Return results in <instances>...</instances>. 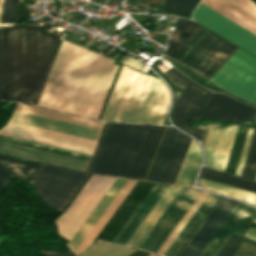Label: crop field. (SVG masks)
<instances>
[{
  "label": "crop field",
  "mask_w": 256,
  "mask_h": 256,
  "mask_svg": "<svg viewBox=\"0 0 256 256\" xmlns=\"http://www.w3.org/2000/svg\"><path fill=\"white\" fill-rule=\"evenodd\" d=\"M169 103L162 80L123 65L101 120L162 125Z\"/></svg>",
  "instance_id": "4"
},
{
  "label": "crop field",
  "mask_w": 256,
  "mask_h": 256,
  "mask_svg": "<svg viewBox=\"0 0 256 256\" xmlns=\"http://www.w3.org/2000/svg\"><path fill=\"white\" fill-rule=\"evenodd\" d=\"M237 204V201L221 197L179 256H199Z\"/></svg>",
  "instance_id": "12"
},
{
  "label": "crop field",
  "mask_w": 256,
  "mask_h": 256,
  "mask_svg": "<svg viewBox=\"0 0 256 256\" xmlns=\"http://www.w3.org/2000/svg\"><path fill=\"white\" fill-rule=\"evenodd\" d=\"M24 24L0 29L1 100L33 104L60 36Z\"/></svg>",
  "instance_id": "2"
},
{
  "label": "crop field",
  "mask_w": 256,
  "mask_h": 256,
  "mask_svg": "<svg viewBox=\"0 0 256 256\" xmlns=\"http://www.w3.org/2000/svg\"><path fill=\"white\" fill-rule=\"evenodd\" d=\"M237 127L233 125L223 129L208 128L204 144L206 151L205 165L225 170Z\"/></svg>",
  "instance_id": "14"
},
{
  "label": "crop field",
  "mask_w": 256,
  "mask_h": 256,
  "mask_svg": "<svg viewBox=\"0 0 256 256\" xmlns=\"http://www.w3.org/2000/svg\"><path fill=\"white\" fill-rule=\"evenodd\" d=\"M28 18H29V11L27 7L20 4L14 14L13 23L24 20V19H28Z\"/></svg>",
  "instance_id": "42"
},
{
  "label": "crop field",
  "mask_w": 256,
  "mask_h": 256,
  "mask_svg": "<svg viewBox=\"0 0 256 256\" xmlns=\"http://www.w3.org/2000/svg\"><path fill=\"white\" fill-rule=\"evenodd\" d=\"M200 193V190L184 187L153 227L140 249L156 253Z\"/></svg>",
  "instance_id": "11"
},
{
  "label": "crop field",
  "mask_w": 256,
  "mask_h": 256,
  "mask_svg": "<svg viewBox=\"0 0 256 256\" xmlns=\"http://www.w3.org/2000/svg\"><path fill=\"white\" fill-rule=\"evenodd\" d=\"M241 241L242 238L232 234L216 256H233Z\"/></svg>",
  "instance_id": "38"
},
{
  "label": "crop field",
  "mask_w": 256,
  "mask_h": 256,
  "mask_svg": "<svg viewBox=\"0 0 256 256\" xmlns=\"http://www.w3.org/2000/svg\"><path fill=\"white\" fill-rule=\"evenodd\" d=\"M203 4L256 34V5L248 0H202Z\"/></svg>",
  "instance_id": "16"
},
{
  "label": "crop field",
  "mask_w": 256,
  "mask_h": 256,
  "mask_svg": "<svg viewBox=\"0 0 256 256\" xmlns=\"http://www.w3.org/2000/svg\"><path fill=\"white\" fill-rule=\"evenodd\" d=\"M62 41L37 105L97 119L118 66Z\"/></svg>",
  "instance_id": "1"
},
{
  "label": "crop field",
  "mask_w": 256,
  "mask_h": 256,
  "mask_svg": "<svg viewBox=\"0 0 256 256\" xmlns=\"http://www.w3.org/2000/svg\"><path fill=\"white\" fill-rule=\"evenodd\" d=\"M149 253L146 252H142V251H135L133 254H131L130 256H147Z\"/></svg>",
  "instance_id": "44"
},
{
  "label": "crop field",
  "mask_w": 256,
  "mask_h": 256,
  "mask_svg": "<svg viewBox=\"0 0 256 256\" xmlns=\"http://www.w3.org/2000/svg\"><path fill=\"white\" fill-rule=\"evenodd\" d=\"M208 195V192L202 191L198 199L187 211V213L184 215V217L181 219V221L178 223V225L175 227V229L157 251V254L163 255V253L166 251V249L169 247V245L172 243V241L175 239V237L178 235V233L181 231V229L184 227V225L187 223V221L190 219V217L194 214V212L198 209V207L202 204V202L206 199Z\"/></svg>",
  "instance_id": "33"
},
{
  "label": "crop field",
  "mask_w": 256,
  "mask_h": 256,
  "mask_svg": "<svg viewBox=\"0 0 256 256\" xmlns=\"http://www.w3.org/2000/svg\"><path fill=\"white\" fill-rule=\"evenodd\" d=\"M202 28L193 21L180 18L166 55L175 59Z\"/></svg>",
  "instance_id": "24"
},
{
  "label": "crop field",
  "mask_w": 256,
  "mask_h": 256,
  "mask_svg": "<svg viewBox=\"0 0 256 256\" xmlns=\"http://www.w3.org/2000/svg\"><path fill=\"white\" fill-rule=\"evenodd\" d=\"M162 75L183 90L174 101L171 112L172 120L180 129L200 140H202L204 133L195 128L188 127L187 121L218 119L250 124L256 113L255 107L239 102L227 95L213 92H210L203 106L202 103L206 97L186 85L206 95L209 91L197 85L173 67Z\"/></svg>",
  "instance_id": "5"
},
{
  "label": "crop field",
  "mask_w": 256,
  "mask_h": 256,
  "mask_svg": "<svg viewBox=\"0 0 256 256\" xmlns=\"http://www.w3.org/2000/svg\"><path fill=\"white\" fill-rule=\"evenodd\" d=\"M255 180H256V176H255V178H254Z\"/></svg>",
  "instance_id": "47"
},
{
  "label": "crop field",
  "mask_w": 256,
  "mask_h": 256,
  "mask_svg": "<svg viewBox=\"0 0 256 256\" xmlns=\"http://www.w3.org/2000/svg\"><path fill=\"white\" fill-rule=\"evenodd\" d=\"M1 135L91 154L97 141L9 121Z\"/></svg>",
  "instance_id": "10"
},
{
  "label": "crop field",
  "mask_w": 256,
  "mask_h": 256,
  "mask_svg": "<svg viewBox=\"0 0 256 256\" xmlns=\"http://www.w3.org/2000/svg\"><path fill=\"white\" fill-rule=\"evenodd\" d=\"M253 130L254 129H251V128L248 129V133H247L245 143H244V146H243V149H242V153H241V156H240V159H239V163H238V166H237V169H236V173H235L236 175H239V176L241 175V171H242L243 164H244V161H245V158H246V154H247L248 147H249V144H250V140H251V137H252V134H253Z\"/></svg>",
  "instance_id": "41"
},
{
  "label": "crop field",
  "mask_w": 256,
  "mask_h": 256,
  "mask_svg": "<svg viewBox=\"0 0 256 256\" xmlns=\"http://www.w3.org/2000/svg\"><path fill=\"white\" fill-rule=\"evenodd\" d=\"M0 140L15 143V144H20V145H24V146H29V147H33V148H38V149H42V150H47V151H51V152H56V153H60V154H65V155H69V156H74V157H78V158H83V159H87V160H89L91 157L89 155H84V154H80V153L70 152V151H66V150L56 149V148H52V147L42 146V145H38V144L28 143V142L14 140V139L5 138V137H0Z\"/></svg>",
  "instance_id": "36"
},
{
  "label": "crop field",
  "mask_w": 256,
  "mask_h": 256,
  "mask_svg": "<svg viewBox=\"0 0 256 256\" xmlns=\"http://www.w3.org/2000/svg\"><path fill=\"white\" fill-rule=\"evenodd\" d=\"M0 152L85 171L89 161L0 141Z\"/></svg>",
  "instance_id": "17"
},
{
  "label": "crop field",
  "mask_w": 256,
  "mask_h": 256,
  "mask_svg": "<svg viewBox=\"0 0 256 256\" xmlns=\"http://www.w3.org/2000/svg\"><path fill=\"white\" fill-rule=\"evenodd\" d=\"M194 20L256 55V36L205 5L198 6Z\"/></svg>",
  "instance_id": "13"
},
{
  "label": "crop field",
  "mask_w": 256,
  "mask_h": 256,
  "mask_svg": "<svg viewBox=\"0 0 256 256\" xmlns=\"http://www.w3.org/2000/svg\"><path fill=\"white\" fill-rule=\"evenodd\" d=\"M222 39L223 38L208 30L195 44V46L185 55L181 62L195 70Z\"/></svg>",
  "instance_id": "27"
},
{
  "label": "crop field",
  "mask_w": 256,
  "mask_h": 256,
  "mask_svg": "<svg viewBox=\"0 0 256 256\" xmlns=\"http://www.w3.org/2000/svg\"><path fill=\"white\" fill-rule=\"evenodd\" d=\"M115 179L93 174L64 214L56 220L59 234L70 240Z\"/></svg>",
  "instance_id": "8"
},
{
  "label": "crop field",
  "mask_w": 256,
  "mask_h": 256,
  "mask_svg": "<svg viewBox=\"0 0 256 256\" xmlns=\"http://www.w3.org/2000/svg\"><path fill=\"white\" fill-rule=\"evenodd\" d=\"M218 197L219 195L210 193L205 202L195 212V214L192 216V218L189 220V222L186 224V226L183 228V230L180 232V234L177 236V238L165 252L164 256H175L177 254V252L186 242L188 237L191 235V233L194 231V229L197 227V225L200 223V221L203 219V217L206 215V213L218 199Z\"/></svg>",
  "instance_id": "25"
},
{
  "label": "crop field",
  "mask_w": 256,
  "mask_h": 256,
  "mask_svg": "<svg viewBox=\"0 0 256 256\" xmlns=\"http://www.w3.org/2000/svg\"><path fill=\"white\" fill-rule=\"evenodd\" d=\"M256 172V131L251 145L250 153L244 170V177L254 178Z\"/></svg>",
  "instance_id": "37"
},
{
  "label": "crop field",
  "mask_w": 256,
  "mask_h": 256,
  "mask_svg": "<svg viewBox=\"0 0 256 256\" xmlns=\"http://www.w3.org/2000/svg\"><path fill=\"white\" fill-rule=\"evenodd\" d=\"M198 0H165L161 9L172 14L188 16Z\"/></svg>",
  "instance_id": "35"
},
{
  "label": "crop field",
  "mask_w": 256,
  "mask_h": 256,
  "mask_svg": "<svg viewBox=\"0 0 256 256\" xmlns=\"http://www.w3.org/2000/svg\"><path fill=\"white\" fill-rule=\"evenodd\" d=\"M89 175L41 163L28 183L43 201L63 211Z\"/></svg>",
  "instance_id": "6"
},
{
  "label": "crop field",
  "mask_w": 256,
  "mask_h": 256,
  "mask_svg": "<svg viewBox=\"0 0 256 256\" xmlns=\"http://www.w3.org/2000/svg\"><path fill=\"white\" fill-rule=\"evenodd\" d=\"M126 181H127V179L117 178V180L114 182V184L108 190V192L105 194V196L102 198V200L98 203V205L95 207V209L92 211V213L88 216V218L85 220V222L82 224V226L78 229V231L75 233V235L69 241V243L67 245L70 247V249L73 252L77 248V246L80 244V242L83 240V238L86 236V234L89 232V230L92 228V226L95 224V222L98 220L100 215L103 213V211L106 209V207L109 205V203L112 201V199L115 197V195L118 193V191L121 189V187L124 185V183Z\"/></svg>",
  "instance_id": "22"
},
{
  "label": "crop field",
  "mask_w": 256,
  "mask_h": 256,
  "mask_svg": "<svg viewBox=\"0 0 256 256\" xmlns=\"http://www.w3.org/2000/svg\"><path fill=\"white\" fill-rule=\"evenodd\" d=\"M255 216L256 208L239 202L200 256H214L231 232L241 235Z\"/></svg>",
  "instance_id": "15"
},
{
  "label": "crop field",
  "mask_w": 256,
  "mask_h": 256,
  "mask_svg": "<svg viewBox=\"0 0 256 256\" xmlns=\"http://www.w3.org/2000/svg\"><path fill=\"white\" fill-rule=\"evenodd\" d=\"M2 0H0V8H1Z\"/></svg>",
  "instance_id": "45"
},
{
  "label": "crop field",
  "mask_w": 256,
  "mask_h": 256,
  "mask_svg": "<svg viewBox=\"0 0 256 256\" xmlns=\"http://www.w3.org/2000/svg\"><path fill=\"white\" fill-rule=\"evenodd\" d=\"M254 102H256V99L254 100Z\"/></svg>",
  "instance_id": "48"
},
{
  "label": "crop field",
  "mask_w": 256,
  "mask_h": 256,
  "mask_svg": "<svg viewBox=\"0 0 256 256\" xmlns=\"http://www.w3.org/2000/svg\"><path fill=\"white\" fill-rule=\"evenodd\" d=\"M234 256H256V243L243 239Z\"/></svg>",
  "instance_id": "39"
},
{
  "label": "crop field",
  "mask_w": 256,
  "mask_h": 256,
  "mask_svg": "<svg viewBox=\"0 0 256 256\" xmlns=\"http://www.w3.org/2000/svg\"><path fill=\"white\" fill-rule=\"evenodd\" d=\"M255 222H256V220H255Z\"/></svg>",
  "instance_id": "50"
},
{
  "label": "crop field",
  "mask_w": 256,
  "mask_h": 256,
  "mask_svg": "<svg viewBox=\"0 0 256 256\" xmlns=\"http://www.w3.org/2000/svg\"><path fill=\"white\" fill-rule=\"evenodd\" d=\"M11 121L20 122L24 124H29L37 127H42L46 129H51L55 131H60L64 133H69L77 136H82L91 139H98L100 134L99 129L85 127L81 125H76L72 123H67L63 121L53 120L49 118H44L40 116H35L31 114L21 113L15 111L12 117L10 118Z\"/></svg>",
  "instance_id": "18"
},
{
  "label": "crop field",
  "mask_w": 256,
  "mask_h": 256,
  "mask_svg": "<svg viewBox=\"0 0 256 256\" xmlns=\"http://www.w3.org/2000/svg\"><path fill=\"white\" fill-rule=\"evenodd\" d=\"M48 256H74L68 253H63V252H57V251H49Z\"/></svg>",
  "instance_id": "43"
},
{
  "label": "crop field",
  "mask_w": 256,
  "mask_h": 256,
  "mask_svg": "<svg viewBox=\"0 0 256 256\" xmlns=\"http://www.w3.org/2000/svg\"><path fill=\"white\" fill-rule=\"evenodd\" d=\"M161 130L108 123L88 171L141 179Z\"/></svg>",
  "instance_id": "3"
},
{
  "label": "crop field",
  "mask_w": 256,
  "mask_h": 256,
  "mask_svg": "<svg viewBox=\"0 0 256 256\" xmlns=\"http://www.w3.org/2000/svg\"><path fill=\"white\" fill-rule=\"evenodd\" d=\"M36 165L35 161H21L0 155V194L10 175L26 180Z\"/></svg>",
  "instance_id": "26"
},
{
  "label": "crop field",
  "mask_w": 256,
  "mask_h": 256,
  "mask_svg": "<svg viewBox=\"0 0 256 256\" xmlns=\"http://www.w3.org/2000/svg\"><path fill=\"white\" fill-rule=\"evenodd\" d=\"M199 181L202 186L212 191L219 192L232 197L240 198L256 205V193L231 187V186H227L224 184L216 183L213 181L201 179V178L199 179Z\"/></svg>",
  "instance_id": "32"
},
{
  "label": "crop field",
  "mask_w": 256,
  "mask_h": 256,
  "mask_svg": "<svg viewBox=\"0 0 256 256\" xmlns=\"http://www.w3.org/2000/svg\"><path fill=\"white\" fill-rule=\"evenodd\" d=\"M15 110L21 111V112H26V113H31V114H35V115H40V116H44V117H49V118H53V119L63 120V121H67V122H72V123H76V124H81V125H85V126L95 127V128H99V129L102 128V125L104 123L101 121H96V120H92V119L82 118V117H78V116L68 115V114H64V113L54 112V111L40 109V108H36V107H31V106H26V105H22V104H18Z\"/></svg>",
  "instance_id": "29"
},
{
  "label": "crop field",
  "mask_w": 256,
  "mask_h": 256,
  "mask_svg": "<svg viewBox=\"0 0 256 256\" xmlns=\"http://www.w3.org/2000/svg\"><path fill=\"white\" fill-rule=\"evenodd\" d=\"M181 188L182 187L180 186L169 185V187L158 200L151 212L140 225L138 230L127 243V245L135 247L139 246V244L142 242V240L145 238V236L148 234V232L151 230V228L154 226V224L157 222V220L160 218V216L163 214V212L181 190Z\"/></svg>",
  "instance_id": "21"
},
{
  "label": "crop field",
  "mask_w": 256,
  "mask_h": 256,
  "mask_svg": "<svg viewBox=\"0 0 256 256\" xmlns=\"http://www.w3.org/2000/svg\"><path fill=\"white\" fill-rule=\"evenodd\" d=\"M149 256H156V255L151 254V255H149Z\"/></svg>",
  "instance_id": "46"
},
{
  "label": "crop field",
  "mask_w": 256,
  "mask_h": 256,
  "mask_svg": "<svg viewBox=\"0 0 256 256\" xmlns=\"http://www.w3.org/2000/svg\"><path fill=\"white\" fill-rule=\"evenodd\" d=\"M200 161V146L192 139L174 184L190 186Z\"/></svg>",
  "instance_id": "28"
},
{
  "label": "crop field",
  "mask_w": 256,
  "mask_h": 256,
  "mask_svg": "<svg viewBox=\"0 0 256 256\" xmlns=\"http://www.w3.org/2000/svg\"><path fill=\"white\" fill-rule=\"evenodd\" d=\"M201 178L213 180L216 182H220L227 185H231V186L256 192V183L226 174L224 172L213 170L210 168L203 167Z\"/></svg>",
  "instance_id": "31"
},
{
  "label": "crop field",
  "mask_w": 256,
  "mask_h": 256,
  "mask_svg": "<svg viewBox=\"0 0 256 256\" xmlns=\"http://www.w3.org/2000/svg\"><path fill=\"white\" fill-rule=\"evenodd\" d=\"M248 180V179H247ZM251 181V180H250ZM255 182V181H254Z\"/></svg>",
  "instance_id": "49"
},
{
  "label": "crop field",
  "mask_w": 256,
  "mask_h": 256,
  "mask_svg": "<svg viewBox=\"0 0 256 256\" xmlns=\"http://www.w3.org/2000/svg\"><path fill=\"white\" fill-rule=\"evenodd\" d=\"M210 80L252 101L256 97V58L238 48Z\"/></svg>",
  "instance_id": "9"
},
{
  "label": "crop field",
  "mask_w": 256,
  "mask_h": 256,
  "mask_svg": "<svg viewBox=\"0 0 256 256\" xmlns=\"http://www.w3.org/2000/svg\"><path fill=\"white\" fill-rule=\"evenodd\" d=\"M246 127H238L237 134L234 140V144L230 153V157L227 163L226 172L235 173V169L238 163V159L241 153V149L244 143V139L247 133Z\"/></svg>",
  "instance_id": "34"
},
{
  "label": "crop field",
  "mask_w": 256,
  "mask_h": 256,
  "mask_svg": "<svg viewBox=\"0 0 256 256\" xmlns=\"http://www.w3.org/2000/svg\"><path fill=\"white\" fill-rule=\"evenodd\" d=\"M234 47V44L223 39L195 71L208 78Z\"/></svg>",
  "instance_id": "30"
},
{
  "label": "crop field",
  "mask_w": 256,
  "mask_h": 256,
  "mask_svg": "<svg viewBox=\"0 0 256 256\" xmlns=\"http://www.w3.org/2000/svg\"><path fill=\"white\" fill-rule=\"evenodd\" d=\"M136 182H137L136 180L128 179V181L125 183V185L119 191V193L116 195V197L110 203V205L107 207V209L104 211L102 216L99 218V220L96 222V224L93 226V228L90 230V232L87 234V236L84 238V240L81 242V244L78 246V248L75 250L74 253L77 254L91 245L94 238L97 236V234L103 228V226L106 224V222L112 216V214L115 212V210L118 208V206L124 200V198L130 192V190L133 188V186L136 184Z\"/></svg>",
  "instance_id": "23"
},
{
  "label": "crop field",
  "mask_w": 256,
  "mask_h": 256,
  "mask_svg": "<svg viewBox=\"0 0 256 256\" xmlns=\"http://www.w3.org/2000/svg\"><path fill=\"white\" fill-rule=\"evenodd\" d=\"M167 187L168 185L166 184L156 183V185L153 187V189L150 191V193L147 195V197L117 235V237L114 239V243L123 245L126 244L127 240L130 238V236L133 234V232L136 230V228L139 226V224L142 222V220L145 218V216L148 214L150 209L153 207V205L156 203V201Z\"/></svg>",
  "instance_id": "20"
},
{
  "label": "crop field",
  "mask_w": 256,
  "mask_h": 256,
  "mask_svg": "<svg viewBox=\"0 0 256 256\" xmlns=\"http://www.w3.org/2000/svg\"><path fill=\"white\" fill-rule=\"evenodd\" d=\"M17 0H3V5H5L1 23L10 22L12 23L13 14L18 6L16 4Z\"/></svg>",
  "instance_id": "40"
},
{
  "label": "crop field",
  "mask_w": 256,
  "mask_h": 256,
  "mask_svg": "<svg viewBox=\"0 0 256 256\" xmlns=\"http://www.w3.org/2000/svg\"><path fill=\"white\" fill-rule=\"evenodd\" d=\"M191 138L167 127L145 180L173 184Z\"/></svg>",
  "instance_id": "7"
},
{
  "label": "crop field",
  "mask_w": 256,
  "mask_h": 256,
  "mask_svg": "<svg viewBox=\"0 0 256 256\" xmlns=\"http://www.w3.org/2000/svg\"><path fill=\"white\" fill-rule=\"evenodd\" d=\"M154 184L155 183L153 182L141 181V183L138 185V187L135 189V191L132 193V195L129 197L126 203L123 205L121 210L118 212V214L109 224V226L100 236V239L112 242V240L121 230V228L130 218V216L133 214V212L136 210V208L139 206V204L142 202V200L154 186Z\"/></svg>",
  "instance_id": "19"
}]
</instances>
